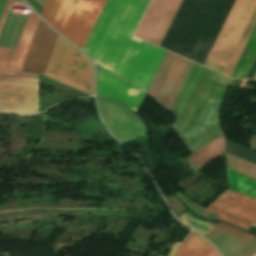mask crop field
Segmentation results:
<instances>
[{"label": "crop field", "mask_w": 256, "mask_h": 256, "mask_svg": "<svg viewBox=\"0 0 256 256\" xmlns=\"http://www.w3.org/2000/svg\"><path fill=\"white\" fill-rule=\"evenodd\" d=\"M149 0H107L82 51L98 65L148 90L166 51L132 35Z\"/></svg>", "instance_id": "crop-field-1"}, {"label": "crop field", "mask_w": 256, "mask_h": 256, "mask_svg": "<svg viewBox=\"0 0 256 256\" xmlns=\"http://www.w3.org/2000/svg\"><path fill=\"white\" fill-rule=\"evenodd\" d=\"M198 67L203 69L202 72L201 69H198ZM231 81L232 79L226 76L218 74L195 63L193 64L170 110L178 117V121L174 125V127L182 136V138L186 141V143L189 145L193 152L223 134L219 126V108L222 104V101L225 97ZM176 111L179 114L181 112V114H177Z\"/></svg>", "instance_id": "crop-field-2"}, {"label": "crop field", "mask_w": 256, "mask_h": 256, "mask_svg": "<svg viewBox=\"0 0 256 256\" xmlns=\"http://www.w3.org/2000/svg\"><path fill=\"white\" fill-rule=\"evenodd\" d=\"M106 0H47L40 16L82 49Z\"/></svg>", "instance_id": "crop-field-3"}, {"label": "crop field", "mask_w": 256, "mask_h": 256, "mask_svg": "<svg viewBox=\"0 0 256 256\" xmlns=\"http://www.w3.org/2000/svg\"><path fill=\"white\" fill-rule=\"evenodd\" d=\"M44 74L93 94L91 61L60 37Z\"/></svg>", "instance_id": "crop-field-4"}, {"label": "crop field", "mask_w": 256, "mask_h": 256, "mask_svg": "<svg viewBox=\"0 0 256 256\" xmlns=\"http://www.w3.org/2000/svg\"><path fill=\"white\" fill-rule=\"evenodd\" d=\"M255 5L256 0L235 1L204 66L222 73Z\"/></svg>", "instance_id": "crop-field-5"}, {"label": "crop field", "mask_w": 256, "mask_h": 256, "mask_svg": "<svg viewBox=\"0 0 256 256\" xmlns=\"http://www.w3.org/2000/svg\"><path fill=\"white\" fill-rule=\"evenodd\" d=\"M39 76L0 72V111L36 112Z\"/></svg>", "instance_id": "crop-field-6"}, {"label": "crop field", "mask_w": 256, "mask_h": 256, "mask_svg": "<svg viewBox=\"0 0 256 256\" xmlns=\"http://www.w3.org/2000/svg\"><path fill=\"white\" fill-rule=\"evenodd\" d=\"M206 211L247 230L256 221V200L227 189L206 208ZM206 211L200 217L222 221Z\"/></svg>", "instance_id": "crop-field-7"}, {"label": "crop field", "mask_w": 256, "mask_h": 256, "mask_svg": "<svg viewBox=\"0 0 256 256\" xmlns=\"http://www.w3.org/2000/svg\"><path fill=\"white\" fill-rule=\"evenodd\" d=\"M225 151L256 164V152L226 140ZM226 153L227 168L238 172L241 159ZM227 169L228 188L256 199V181ZM256 179V165L242 161L239 172Z\"/></svg>", "instance_id": "crop-field-8"}, {"label": "crop field", "mask_w": 256, "mask_h": 256, "mask_svg": "<svg viewBox=\"0 0 256 256\" xmlns=\"http://www.w3.org/2000/svg\"><path fill=\"white\" fill-rule=\"evenodd\" d=\"M181 2L152 0L135 36L160 46Z\"/></svg>", "instance_id": "crop-field-9"}, {"label": "crop field", "mask_w": 256, "mask_h": 256, "mask_svg": "<svg viewBox=\"0 0 256 256\" xmlns=\"http://www.w3.org/2000/svg\"><path fill=\"white\" fill-rule=\"evenodd\" d=\"M98 106L108 128L123 143L149 133L140 118L118 103L98 98Z\"/></svg>", "instance_id": "crop-field-10"}, {"label": "crop field", "mask_w": 256, "mask_h": 256, "mask_svg": "<svg viewBox=\"0 0 256 256\" xmlns=\"http://www.w3.org/2000/svg\"><path fill=\"white\" fill-rule=\"evenodd\" d=\"M175 57L188 62L179 81L176 80L179 79L186 65V62L177 58L175 59L167 75L168 78L176 80L165 78ZM191 65L192 62L168 52L148 92L152 94L157 100H159L165 107L170 109Z\"/></svg>", "instance_id": "crop-field-11"}, {"label": "crop field", "mask_w": 256, "mask_h": 256, "mask_svg": "<svg viewBox=\"0 0 256 256\" xmlns=\"http://www.w3.org/2000/svg\"><path fill=\"white\" fill-rule=\"evenodd\" d=\"M203 236L224 256H251L256 252V237L231 225L219 223Z\"/></svg>", "instance_id": "crop-field-12"}, {"label": "crop field", "mask_w": 256, "mask_h": 256, "mask_svg": "<svg viewBox=\"0 0 256 256\" xmlns=\"http://www.w3.org/2000/svg\"><path fill=\"white\" fill-rule=\"evenodd\" d=\"M16 2L25 5L22 0H7L0 20V31L10 4ZM40 19L31 11L20 37L16 50L0 48V70L20 72L34 37Z\"/></svg>", "instance_id": "crop-field-13"}, {"label": "crop field", "mask_w": 256, "mask_h": 256, "mask_svg": "<svg viewBox=\"0 0 256 256\" xmlns=\"http://www.w3.org/2000/svg\"><path fill=\"white\" fill-rule=\"evenodd\" d=\"M98 95L121 101L137 111L146 92L97 67Z\"/></svg>", "instance_id": "crop-field-14"}, {"label": "crop field", "mask_w": 256, "mask_h": 256, "mask_svg": "<svg viewBox=\"0 0 256 256\" xmlns=\"http://www.w3.org/2000/svg\"><path fill=\"white\" fill-rule=\"evenodd\" d=\"M57 36L41 21L21 72L43 74Z\"/></svg>", "instance_id": "crop-field-15"}, {"label": "crop field", "mask_w": 256, "mask_h": 256, "mask_svg": "<svg viewBox=\"0 0 256 256\" xmlns=\"http://www.w3.org/2000/svg\"><path fill=\"white\" fill-rule=\"evenodd\" d=\"M212 248L202 237L190 232L176 256H207Z\"/></svg>", "instance_id": "crop-field-16"}, {"label": "crop field", "mask_w": 256, "mask_h": 256, "mask_svg": "<svg viewBox=\"0 0 256 256\" xmlns=\"http://www.w3.org/2000/svg\"><path fill=\"white\" fill-rule=\"evenodd\" d=\"M256 53V26L231 74V78H243Z\"/></svg>", "instance_id": "crop-field-17"}, {"label": "crop field", "mask_w": 256, "mask_h": 256, "mask_svg": "<svg viewBox=\"0 0 256 256\" xmlns=\"http://www.w3.org/2000/svg\"><path fill=\"white\" fill-rule=\"evenodd\" d=\"M255 24H256V7H255V9H254L249 21H248L243 33H242V35H241L233 53H232V55H231V57H230V59L227 63V65H226V67L223 71V74H225L227 76H230V74H231V72H232V70H233V68H234V66H235V64H236L244 46H245L253 28H254V26H255Z\"/></svg>", "instance_id": "crop-field-18"}, {"label": "crop field", "mask_w": 256, "mask_h": 256, "mask_svg": "<svg viewBox=\"0 0 256 256\" xmlns=\"http://www.w3.org/2000/svg\"><path fill=\"white\" fill-rule=\"evenodd\" d=\"M225 137L221 135L203 148L193 153L190 158L196 167H199L212 156L224 150Z\"/></svg>", "instance_id": "crop-field-19"}, {"label": "crop field", "mask_w": 256, "mask_h": 256, "mask_svg": "<svg viewBox=\"0 0 256 256\" xmlns=\"http://www.w3.org/2000/svg\"><path fill=\"white\" fill-rule=\"evenodd\" d=\"M178 219L183 223H185L186 225H188L189 227L197 230L202 235L206 233L210 228L213 227V225L209 223H206L199 219L195 220L184 213Z\"/></svg>", "instance_id": "crop-field-20"}, {"label": "crop field", "mask_w": 256, "mask_h": 256, "mask_svg": "<svg viewBox=\"0 0 256 256\" xmlns=\"http://www.w3.org/2000/svg\"><path fill=\"white\" fill-rule=\"evenodd\" d=\"M180 244H181V242H180V243H176V244L174 245V247H173V249H172V251H171V253H170L169 256H174V255H175V253H176V251L178 250Z\"/></svg>", "instance_id": "crop-field-21"}, {"label": "crop field", "mask_w": 256, "mask_h": 256, "mask_svg": "<svg viewBox=\"0 0 256 256\" xmlns=\"http://www.w3.org/2000/svg\"><path fill=\"white\" fill-rule=\"evenodd\" d=\"M208 256H219V254L213 248V250L210 252Z\"/></svg>", "instance_id": "crop-field-22"}, {"label": "crop field", "mask_w": 256, "mask_h": 256, "mask_svg": "<svg viewBox=\"0 0 256 256\" xmlns=\"http://www.w3.org/2000/svg\"><path fill=\"white\" fill-rule=\"evenodd\" d=\"M253 256H256V253Z\"/></svg>", "instance_id": "crop-field-23"}, {"label": "crop field", "mask_w": 256, "mask_h": 256, "mask_svg": "<svg viewBox=\"0 0 256 256\" xmlns=\"http://www.w3.org/2000/svg\"><path fill=\"white\" fill-rule=\"evenodd\" d=\"M254 79H256V76H255V78Z\"/></svg>", "instance_id": "crop-field-24"}]
</instances>
